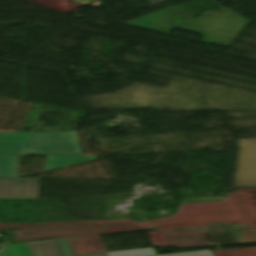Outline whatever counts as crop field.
<instances>
[{
    "label": "crop field",
    "mask_w": 256,
    "mask_h": 256,
    "mask_svg": "<svg viewBox=\"0 0 256 256\" xmlns=\"http://www.w3.org/2000/svg\"><path fill=\"white\" fill-rule=\"evenodd\" d=\"M0 153L82 154L75 131L0 133Z\"/></svg>",
    "instance_id": "8a807250"
},
{
    "label": "crop field",
    "mask_w": 256,
    "mask_h": 256,
    "mask_svg": "<svg viewBox=\"0 0 256 256\" xmlns=\"http://www.w3.org/2000/svg\"><path fill=\"white\" fill-rule=\"evenodd\" d=\"M39 198V179L0 178V199Z\"/></svg>",
    "instance_id": "ac0d7876"
},
{
    "label": "crop field",
    "mask_w": 256,
    "mask_h": 256,
    "mask_svg": "<svg viewBox=\"0 0 256 256\" xmlns=\"http://www.w3.org/2000/svg\"><path fill=\"white\" fill-rule=\"evenodd\" d=\"M66 240L74 255L106 252L98 235Z\"/></svg>",
    "instance_id": "34b2d1b8"
},
{
    "label": "crop field",
    "mask_w": 256,
    "mask_h": 256,
    "mask_svg": "<svg viewBox=\"0 0 256 256\" xmlns=\"http://www.w3.org/2000/svg\"><path fill=\"white\" fill-rule=\"evenodd\" d=\"M34 256H65L58 240L28 243Z\"/></svg>",
    "instance_id": "412701ff"
},
{
    "label": "crop field",
    "mask_w": 256,
    "mask_h": 256,
    "mask_svg": "<svg viewBox=\"0 0 256 256\" xmlns=\"http://www.w3.org/2000/svg\"><path fill=\"white\" fill-rule=\"evenodd\" d=\"M93 160L95 156H47L46 171Z\"/></svg>",
    "instance_id": "f4fd0767"
},
{
    "label": "crop field",
    "mask_w": 256,
    "mask_h": 256,
    "mask_svg": "<svg viewBox=\"0 0 256 256\" xmlns=\"http://www.w3.org/2000/svg\"><path fill=\"white\" fill-rule=\"evenodd\" d=\"M0 256H33L27 243L0 246Z\"/></svg>",
    "instance_id": "dd49c442"
},
{
    "label": "crop field",
    "mask_w": 256,
    "mask_h": 256,
    "mask_svg": "<svg viewBox=\"0 0 256 256\" xmlns=\"http://www.w3.org/2000/svg\"><path fill=\"white\" fill-rule=\"evenodd\" d=\"M0 177H17L16 156H0Z\"/></svg>",
    "instance_id": "e52e79f7"
},
{
    "label": "crop field",
    "mask_w": 256,
    "mask_h": 256,
    "mask_svg": "<svg viewBox=\"0 0 256 256\" xmlns=\"http://www.w3.org/2000/svg\"><path fill=\"white\" fill-rule=\"evenodd\" d=\"M156 254L153 248L108 253L109 256H145Z\"/></svg>",
    "instance_id": "d8731c3e"
},
{
    "label": "crop field",
    "mask_w": 256,
    "mask_h": 256,
    "mask_svg": "<svg viewBox=\"0 0 256 256\" xmlns=\"http://www.w3.org/2000/svg\"><path fill=\"white\" fill-rule=\"evenodd\" d=\"M59 241H60V243L63 247V250H64L66 256H73L66 240L62 239V240H59ZM79 256H107V254L106 253H99V254H89V255H79Z\"/></svg>",
    "instance_id": "5a996713"
},
{
    "label": "crop field",
    "mask_w": 256,
    "mask_h": 256,
    "mask_svg": "<svg viewBox=\"0 0 256 256\" xmlns=\"http://www.w3.org/2000/svg\"><path fill=\"white\" fill-rule=\"evenodd\" d=\"M160 256H211L209 251L200 252H190V253H180V254H170V255H160Z\"/></svg>",
    "instance_id": "3316defc"
},
{
    "label": "crop field",
    "mask_w": 256,
    "mask_h": 256,
    "mask_svg": "<svg viewBox=\"0 0 256 256\" xmlns=\"http://www.w3.org/2000/svg\"><path fill=\"white\" fill-rule=\"evenodd\" d=\"M75 1H78V2H80L82 4H84L87 0H75Z\"/></svg>",
    "instance_id": "28ad6ade"
},
{
    "label": "crop field",
    "mask_w": 256,
    "mask_h": 256,
    "mask_svg": "<svg viewBox=\"0 0 256 256\" xmlns=\"http://www.w3.org/2000/svg\"><path fill=\"white\" fill-rule=\"evenodd\" d=\"M94 1H96V0H89L88 2L85 3V5H87V4L91 3V2H94Z\"/></svg>",
    "instance_id": "d1516ede"
}]
</instances>
